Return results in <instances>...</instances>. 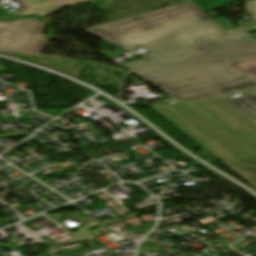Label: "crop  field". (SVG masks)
<instances>
[{"instance_id": "5", "label": "crop field", "mask_w": 256, "mask_h": 256, "mask_svg": "<svg viewBox=\"0 0 256 256\" xmlns=\"http://www.w3.org/2000/svg\"><path fill=\"white\" fill-rule=\"evenodd\" d=\"M255 25V24H254ZM256 30L253 25L227 31L226 36L203 41L227 63L256 55V39L246 32Z\"/></svg>"}, {"instance_id": "1", "label": "crop field", "mask_w": 256, "mask_h": 256, "mask_svg": "<svg viewBox=\"0 0 256 256\" xmlns=\"http://www.w3.org/2000/svg\"><path fill=\"white\" fill-rule=\"evenodd\" d=\"M225 34L202 14L104 40L129 52L145 50L137 54L143 60L124 64L179 100H205L256 87L201 43Z\"/></svg>"}, {"instance_id": "7", "label": "crop field", "mask_w": 256, "mask_h": 256, "mask_svg": "<svg viewBox=\"0 0 256 256\" xmlns=\"http://www.w3.org/2000/svg\"><path fill=\"white\" fill-rule=\"evenodd\" d=\"M241 94L240 97L229 96L220 100L256 126V90Z\"/></svg>"}, {"instance_id": "3", "label": "crop field", "mask_w": 256, "mask_h": 256, "mask_svg": "<svg viewBox=\"0 0 256 256\" xmlns=\"http://www.w3.org/2000/svg\"><path fill=\"white\" fill-rule=\"evenodd\" d=\"M204 13L191 1L84 29L100 38L124 34Z\"/></svg>"}, {"instance_id": "10", "label": "crop field", "mask_w": 256, "mask_h": 256, "mask_svg": "<svg viewBox=\"0 0 256 256\" xmlns=\"http://www.w3.org/2000/svg\"><path fill=\"white\" fill-rule=\"evenodd\" d=\"M244 6L256 16V0L246 2Z\"/></svg>"}, {"instance_id": "4", "label": "crop field", "mask_w": 256, "mask_h": 256, "mask_svg": "<svg viewBox=\"0 0 256 256\" xmlns=\"http://www.w3.org/2000/svg\"><path fill=\"white\" fill-rule=\"evenodd\" d=\"M45 24L36 19L0 22V29L37 35V37L4 32L0 35V49L39 54L49 39L43 37Z\"/></svg>"}, {"instance_id": "8", "label": "crop field", "mask_w": 256, "mask_h": 256, "mask_svg": "<svg viewBox=\"0 0 256 256\" xmlns=\"http://www.w3.org/2000/svg\"><path fill=\"white\" fill-rule=\"evenodd\" d=\"M256 189V160L249 158L222 163Z\"/></svg>"}, {"instance_id": "6", "label": "crop field", "mask_w": 256, "mask_h": 256, "mask_svg": "<svg viewBox=\"0 0 256 256\" xmlns=\"http://www.w3.org/2000/svg\"><path fill=\"white\" fill-rule=\"evenodd\" d=\"M22 6L11 11L10 16L36 14L43 17L58 11V8L86 0H14Z\"/></svg>"}, {"instance_id": "12", "label": "crop field", "mask_w": 256, "mask_h": 256, "mask_svg": "<svg viewBox=\"0 0 256 256\" xmlns=\"http://www.w3.org/2000/svg\"><path fill=\"white\" fill-rule=\"evenodd\" d=\"M252 159H256V157H251Z\"/></svg>"}, {"instance_id": "11", "label": "crop field", "mask_w": 256, "mask_h": 256, "mask_svg": "<svg viewBox=\"0 0 256 256\" xmlns=\"http://www.w3.org/2000/svg\"><path fill=\"white\" fill-rule=\"evenodd\" d=\"M4 30H0V34H3Z\"/></svg>"}, {"instance_id": "9", "label": "crop field", "mask_w": 256, "mask_h": 256, "mask_svg": "<svg viewBox=\"0 0 256 256\" xmlns=\"http://www.w3.org/2000/svg\"><path fill=\"white\" fill-rule=\"evenodd\" d=\"M240 74L247 73L256 80V56L229 63Z\"/></svg>"}, {"instance_id": "2", "label": "crop field", "mask_w": 256, "mask_h": 256, "mask_svg": "<svg viewBox=\"0 0 256 256\" xmlns=\"http://www.w3.org/2000/svg\"><path fill=\"white\" fill-rule=\"evenodd\" d=\"M148 106L220 162L256 156V128L219 101Z\"/></svg>"}]
</instances>
